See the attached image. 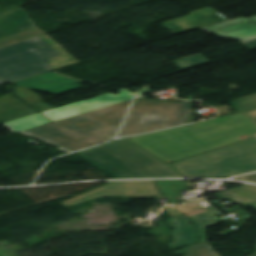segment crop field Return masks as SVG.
I'll use <instances>...</instances> for the list:
<instances>
[{"instance_id":"obj_3","label":"crop field","mask_w":256,"mask_h":256,"mask_svg":"<svg viewBox=\"0 0 256 256\" xmlns=\"http://www.w3.org/2000/svg\"><path fill=\"white\" fill-rule=\"evenodd\" d=\"M78 154L117 178L180 175L172 164L163 163L126 138L84 150Z\"/></svg>"},{"instance_id":"obj_6","label":"crop field","mask_w":256,"mask_h":256,"mask_svg":"<svg viewBox=\"0 0 256 256\" xmlns=\"http://www.w3.org/2000/svg\"><path fill=\"white\" fill-rule=\"evenodd\" d=\"M193 105L135 98L118 137L184 124Z\"/></svg>"},{"instance_id":"obj_4","label":"crop field","mask_w":256,"mask_h":256,"mask_svg":"<svg viewBox=\"0 0 256 256\" xmlns=\"http://www.w3.org/2000/svg\"><path fill=\"white\" fill-rule=\"evenodd\" d=\"M185 177L228 178L256 171V138L173 163Z\"/></svg>"},{"instance_id":"obj_7","label":"crop field","mask_w":256,"mask_h":256,"mask_svg":"<svg viewBox=\"0 0 256 256\" xmlns=\"http://www.w3.org/2000/svg\"><path fill=\"white\" fill-rule=\"evenodd\" d=\"M136 93H129L127 89L120 90L118 95L106 93L82 102L70 104L67 106L55 108L45 112H41L42 116L51 122L131 99Z\"/></svg>"},{"instance_id":"obj_22","label":"crop field","mask_w":256,"mask_h":256,"mask_svg":"<svg viewBox=\"0 0 256 256\" xmlns=\"http://www.w3.org/2000/svg\"><path fill=\"white\" fill-rule=\"evenodd\" d=\"M240 44H242L243 46H245L246 48H248L250 50H255L256 49V38L246 41V42H243V43H240Z\"/></svg>"},{"instance_id":"obj_10","label":"crop field","mask_w":256,"mask_h":256,"mask_svg":"<svg viewBox=\"0 0 256 256\" xmlns=\"http://www.w3.org/2000/svg\"><path fill=\"white\" fill-rule=\"evenodd\" d=\"M201 29L217 36L233 37L243 42L256 37V16L248 19L241 17Z\"/></svg>"},{"instance_id":"obj_13","label":"crop field","mask_w":256,"mask_h":256,"mask_svg":"<svg viewBox=\"0 0 256 256\" xmlns=\"http://www.w3.org/2000/svg\"><path fill=\"white\" fill-rule=\"evenodd\" d=\"M185 215H187L188 218H190L194 223V225L196 226L201 242L207 240L204 228L226 221V219L223 217L216 218V219L211 218L215 215H218V213L215 211V209L212 206L206 209L194 211Z\"/></svg>"},{"instance_id":"obj_1","label":"crop field","mask_w":256,"mask_h":256,"mask_svg":"<svg viewBox=\"0 0 256 256\" xmlns=\"http://www.w3.org/2000/svg\"><path fill=\"white\" fill-rule=\"evenodd\" d=\"M228 104L240 113L129 139L170 163L256 136V94Z\"/></svg>"},{"instance_id":"obj_5","label":"crop field","mask_w":256,"mask_h":256,"mask_svg":"<svg viewBox=\"0 0 256 256\" xmlns=\"http://www.w3.org/2000/svg\"><path fill=\"white\" fill-rule=\"evenodd\" d=\"M40 37L0 49V79L8 83L50 72L49 59L62 55Z\"/></svg>"},{"instance_id":"obj_16","label":"crop field","mask_w":256,"mask_h":256,"mask_svg":"<svg viewBox=\"0 0 256 256\" xmlns=\"http://www.w3.org/2000/svg\"><path fill=\"white\" fill-rule=\"evenodd\" d=\"M44 34L45 32L40 30L37 27L31 30L20 32L18 34H14V35L0 39V48L9 46L18 42H22L28 39L40 37Z\"/></svg>"},{"instance_id":"obj_17","label":"crop field","mask_w":256,"mask_h":256,"mask_svg":"<svg viewBox=\"0 0 256 256\" xmlns=\"http://www.w3.org/2000/svg\"><path fill=\"white\" fill-rule=\"evenodd\" d=\"M173 63L176 64L182 70H187V69L209 64L210 62L207 61L201 54H199V55H196L184 60L176 61Z\"/></svg>"},{"instance_id":"obj_27","label":"crop field","mask_w":256,"mask_h":256,"mask_svg":"<svg viewBox=\"0 0 256 256\" xmlns=\"http://www.w3.org/2000/svg\"><path fill=\"white\" fill-rule=\"evenodd\" d=\"M2 83H5V82H3V81L0 80V84H2Z\"/></svg>"},{"instance_id":"obj_8","label":"crop field","mask_w":256,"mask_h":256,"mask_svg":"<svg viewBox=\"0 0 256 256\" xmlns=\"http://www.w3.org/2000/svg\"><path fill=\"white\" fill-rule=\"evenodd\" d=\"M79 82L81 81L50 72L16 81L13 84L27 89L58 94L82 87L78 84Z\"/></svg>"},{"instance_id":"obj_9","label":"crop field","mask_w":256,"mask_h":256,"mask_svg":"<svg viewBox=\"0 0 256 256\" xmlns=\"http://www.w3.org/2000/svg\"><path fill=\"white\" fill-rule=\"evenodd\" d=\"M227 21L211 8L191 12L188 16L178 18L163 24V27L175 35Z\"/></svg>"},{"instance_id":"obj_24","label":"crop field","mask_w":256,"mask_h":256,"mask_svg":"<svg viewBox=\"0 0 256 256\" xmlns=\"http://www.w3.org/2000/svg\"><path fill=\"white\" fill-rule=\"evenodd\" d=\"M237 179L256 182V174H252V175H247V176L239 177V178H237Z\"/></svg>"},{"instance_id":"obj_12","label":"crop field","mask_w":256,"mask_h":256,"mask_svg":"<svg viewBox=\"0 0 256 256\" xmlns=\"http://www.w3.org/2000/svg\"><path fill=\"white\" fill-rule=\"evenodd\" d=\"M36 27L22 8L0 15V38Z\"/></svg>"},{"instance_id":"obj_15","label":"crop field","mask_w":256,"mask_h":256,"mask_svg":"<svg viewBox=\"0 0 256 256\" xmlns=\"http://www.w3.org/2000/svg\"><path fill=\"white\" fill-rule=\"evenodd\" d=\"M47 119V118H46ZM41 115H33L26 118L14 120L11 122L4 123L5 126H7L9 129H11L14 132H18L20 130L36 127L45 123H49L48 120H46Z\"/></svg>"},{"instance_id":"obj_11","label":"crop field","mask_w":256,"mask_h":256,"mask_svg":"<svg viewBox=\"0 0 256 256\" xmlns=\"http://www.w3.org/2000/svg\"><path fill=\"white\" fill-rule=\"evenodd\" d=\"M167 220L170 227H175V230H171L175 241L172 243H168L167 246H169L173 251L177 248L189 244V246L183 248L181 251H173L175 254L186 255L187 251L191 246L190 244L194 241H198L194 227L190 223H188L187 218L183 215ZM172 224H175V226H173ZM171 244L174 246L171 247Z\"/></svg>"},{"instance_id":"obj_19","label":"crop field","mask_w":256,"mask_h":256,"mask_svg":"<svg viewBox=\"0 0 256 256\" xmlns=\"http://www.w3.org/2000/svg\"><path fill=\"white\" fill-rule=\"evenodd\" d=\"M45 37L54 45V47H56L58 50H60L61 52H63L65 55L59 56V57H55L50 59L51 63H49L48 65L55 68H59V67H63L67 64L70 63H74L76 62L75 60H73L68 54H66L52 39H50L48 36L45 35Z\"/></svg>"},{"instance_id":"obj_20","label":"crop field","mask_w":256,"mask_h":256,"mask_svg":"<svg viewBox=\"0 0 256 256\" xmlns=\"http://www.w3.org/2000/svg\"><path fill=\"white\" fill-rule=\"evenodd\" d=\"M13 85L8 84L7 94L0 97V111L24 105L21 101L11 95Z\"/></svg>"},{"instance_id":"obj_2","label":"crop field","mask_w":256,"mask_h":256,"mask_svg":"<svg viewBox=\"0 0 256 256\" xmlns=\"http://www.w3.org/2000/svg\"><path fill=\"white\" fill-rule=\"evenodd\" d=\"M131 100L20 131L67 153L112 140Z\"/></svg>"},{"instance_id":"obj_21","label":"crop field","mask_w":256,"mask_h":256,"mask_svg":"<svg viewBox=\"0 0 256 256\" xmlns=\"http://www.w3.org/2000/svg\"><path fill=\"white\" fill-rule=\"evenodd\" d=\"M13 95H15L16 97H18L19 99L23 100L26 103L42 99L33 91L27 90L24 88H19V87L14 88Z\"/></svg>"},{"instance_id":"obj_14","label":"crop field","mask_w":256,"mask_h":256,"mask_svg":"<svg viewBox=\"0 0 256 256\" xmlns=\"http://www.w3.org/2000/svg\"><path fill=\"white\" fill-rule=\"evenodd\" d=\"M215 196L221 199H230L238 205L247 204L252 201H256V193L246 190L233 188L225 192L216 194Z\"/></svg>"},{"instance_id":"obj_23","label":"crop field","mask_w":256,"mask_h":256,"mask_svg":"<svg viewBox=\"0 0 256 256\" xmlns=\"http://www.w3.org/2000/svg\"><path fill=\"white\" fill-rule=\"evenodd\" d=\"M237 188L246 189V190H250V191H255L256 192V186H254V185H245V186H241V187H237ZM249 204L254 209H256V202H252V203H249Z\"/></svg>"},{"instance_id":"obj_25","label":"crop field","mask_w":256,"mask_h":256,"mask_svg":"<svg viewBox=\"0 0 256 256\" xmlns=\"http://www.w3.org/2000/svg\"><path fill=\"white\" fill-rule=\"evenodd\" d=\"M145 93H149L148 85L142 89V91H139L137 95H143Z\"/></svg>"},{"instance_id":"obj_26","label":"crop field","mask_w":256,"mask_h":256,"mask_svg":"<svg viewBox=\"0 0 256 256\" xmlns=\"http://www.w3.org/2000/svg\"><path fill=\"white\" fill-rule=\"evenodd\" d=\"M250 256H256V253H255V254H252V255H250Z\"/></svg>"},{"instance_id":"obj_18","label":"crop field","mask_w":256,"mask_h":256,"mask_svg":"<svg viewBox=\"0 0 256 256\" xmlns=\"http://www.w3.org/2000/svg\"><path fill=\"white\" fill-rule=\"evenodd\" d=\"M186 256H220L216 251L212 250L208 242H202L191 246Z\"/></svg>"}]
</instances>
